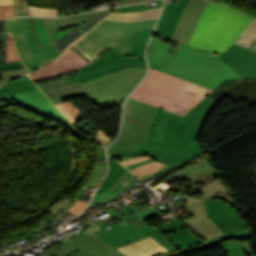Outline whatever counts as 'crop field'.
<instances>
[{"mask_svg": "<svg viewBox=\"0 0 256 256\" xmlns=\"http://www.w3.org/2000/svg\"><path fill=\"white\" fill-rule=\"evenodd\" d=\"M217 104L206 97L184 117L159 108L145 141L148 153L181 165L205 154L198 143L202 121Z\"/></svg>", "mask_w": 256, "mask_h": 256, "instance_id": "crop-field-1", "label": "crop field"}, {"mask_svg": "<svg viewBox=\"0 0 256 256\" xmlns=\"http://www.w3.org/2000/svg\"><path fill=\"white\" fill-rule=\"evenodd\" d=\"M172 46L152 38L148 48L150 68L215 90L226 80L241 78L223 63L219 55L178 44L173 55ZM169 63V65H168Z\"/></svg>", "mask_w": 256, "mask_h": 256, "instance_id": "crop-field-2", "label": "crop field"}, {"mask_svg": "<svg viewBox=\"0 0 256 256\" xmlns=\"http://www.w3.org/2000/svg\"><path fill=\"white\" fill-rule=\"evenodd\" d=\"M212 92L207 88L152 69L131 98L184 116Z\"/></svg>", "mask_w": 256, "mask_h": 256, "instance_id": "crop-field-3", "label": "crop field"}, {"mask_svg": "<svg viewBox=\"0 0 256 256\" xmlns=\"http://www.w3.org/2000/svg\"><path fill=\"white\" fill-rule=\"evenodd\" d=\"M251 20L229 7L208 2L189 45L221 54L235 43Z\"/></svg>", "mask_w": 256, "mask_h": 256, "instance_id": "crop-field-4", "label": "crop field"}, {"mask_svg": "<svg viewBox=\"0 0 256 256\" xmlns=\"http://www.w3.org/2000/svg\"><path fill=\"white\" fill-rule=\"evenodd\" d=\"M109 10L57 19L29 18L39 46L51 43L61 54L70 44L94 28Z\"/></svg>", "mask_w": 256, "mask_h": 256, "instance_id": "crop-field-5", "label": "crop field"}, {"mask_svg": "<svg viewBox=\"0 0 256 256\" xmlns=\"http://www.w3.org/2000/svg\"><path fill=\"white\" fill-rule=\"evenodd\" d=\"M146 68H124L108 75L83 82L85 90L67 95L57 96L52 89L43 92L53 104L63 99L88 95L93 104L110 100L124 99L143 77Z\"/></svg>", "mask_w": 256, "mask_h": 256, "instance_id": "crop-field-6", "label": "crop field"}, {"mask_svg": "<svg viewBox=\"0 0 256 256\" xmlns=\"http://www.w3.org/2000/svg\"><path fill=\"white\" fill-rule=\"evenodd\" d=\"M157 109L130 98L125 104L121 135L116 142L109 145L107 152L146 149L144 141Z\"/></svg>", "mask_w": 256, "mask_h": 256, "instance_id": "crop-field-7", "label": "crop field"}, {"mask_svg": "<svg viewBox=\"0 0 256 256\" xmlns=\"http://www.w3.org/2000/svg\"><path fill=\"white\" fill-rule=\"evenodd\" d=\"M134 30H122L97 25L78 42L74 43L95 61L98 54L111 48L122 54L130 55L133 45L125 43Z\"/></svg>", "mask_w": 256, "mask_h": 256, "instance_id": "crop-field-8", "label": "crop field"}, {"mask_svg": "<svg viewBox=\"0 0 256 256\" xmlns=\"http://www.w3.org/2000/svg\"><path fill=\"white\" fill-rule=\"evenodd\" d=\"M122 65V66H120ZM124 67H146V64L141 62L136 57L127 58L122 54H119L113 50L103 54L102 58L96 62L89 64L88 66L78 70V75L39 84L41 90L49 89L65 84H70L78 81H86L98 76L108 74L114 70Z\"/></svg>", "mask_w": 256, "mask_h": 256, "instance_id": "crop-field-9", "label": "crop field"}, {"mask_svg": "<svg viewBox=\"0 0 256 256\" xmlns=\"http://www.w3.org/2000/svg\"><path fill=\"white\" fill-rule=\"evenodd\" d=\"M204 200L206 201V211L210 218L226 235L245 229L246 224L239 219L235 209L220 200Z\"/></svg>", "mask_w": 256, "mask_h": 256, "instance_id": "crop-field-10", "label": "crop field"}, {"mask_svg": "<svg viewBox=\"0 0 256 256\" xmlns=\"http://www.w3.org/2000/svg\"><path fill=\"white\" fill-rule=\"evenodd\" d=\"M187 198V209L194 217L185 220L192 230L205 240L224 233L213 223L205 211V201L201 198Z\"/></svg>", "mask_w": 256, "mask_h": 256, "instance_id": "crop-field-11", "label": "crop field"}, {"mask_svg": "<svg viewBox=\"0 0 256 256\" xmlns=\"http://www.w3.org/2000/svg\"><path fill=\"white\" fill-rule=\"evenodd\" d=\"M242 78L256 77V53L234 44L219 57Z\"/></svg>", "mask_w": 256, "mask_h": 256, "instance_id": "crop-field-12", "label": "crop field"}, {"mask_svg": "<svg viewBox=\"0 0 256 256\" xmlns=\"http://www.w3.org/2000/svg\"><path fill=\"white\" fill-rule=\"evenodd\" d=\"M77 237V236H76ZM73 245L97 256H126L95 236L85 232L47 256H58Z\"/></svg>", "mask_w": 256, "mask_h": 256, "instance_id": "crop-field-13", "label": "crop field"}, {"mask_svg": "<svg viewBox=\"0 0 256 256\" xmlns=\"http://www.w3.org/2000/svg\"><path fill=\"white\" fill-rule=\"evenodd\" d=\"M206 3L201 0L189 1L171 38L172 40L188 44Z\"/></svg>", "mask_w": 256, "mask_h": 256, "instance_id": "crop-field-14", "label": "crop field"}, {"mask_svg": "<svg viewBox=\"0 0 256 256\" xmlns=\"http://www.w3.org/2000/svg\"><path fill=\"white\" fill-rule=\"evenodd\" d=\"M85 60H83L79 55H77L70 48L57 60L40 68L32 73H29L33 80L50 77L70 70L79 69L87 65ZM74 66V68H72Z\"/></svg>", "mask_w": 256, "mask_h": 256, "instance_id": "crop-field-15", "label": "crop field"}, {"mask_svg": "<svg viewBox=\"0 0 256 256\" xmlns=\"http://www.w3.org/2000/svg\"><path fill=\"white\" fill-rule=\"evenodd\" d=\"M24 33L32 57L25 59L22 62L27 66L29 72L60 56L51 44L39 48L32 31H25Z\"/></svg>", "mask_w": 256, "mask_h": 256, "instance_id": "crop-field-16", "label": "crop field"}, {"mask_svg": "<svg viewBox=\"0 0 256 256\" xmlns=\"http://www.w3.org/2000/svg\"><path fill=\"white\" fill-rule=\"evenodd\" d=\"M188 0H178L176 5H165L154 33L171 38Z\"/></svg>", "mask_w": 256, "mask_h": 256, "instance_id": "crop-field-17", "label": "crop field"}, {"mask_svg": "<svg viewBox=\"0 0 256 256\" xmlns=\"http://www.w3.org/2000/svg\"><path fill=\"white\" fill-rule=\"evenodd\" d=\"M117 249L128 256H160L170 253L151 236Z\"/></svg>", "mask_w": 256, "mask_h": 256, "instance_id": "crop-field-18", "label": "crop field"}, {"mask_svg": "<svg viewBox=\"0 0 256 256\" xmlns=\"http://www.w3.org/2000/svg\"><path fill=\"white\" fill-rule=\"evenodd\" d=\"M10 100H27L37 105H40L46 109H49L66 119L50 102L49 100L41 93L39 89L30 90L21 93L11 94L5 97L0 98V102L10 101ZM67 120V119H66Z\"/></svg>", "mask_w": 256, "mask_h": 256, "instance_id": "crop-field-19", "label": "crop field"}, {"mask_svg": "<svg viewBox=\"0 0 256 256\" xmlns=\"http://www.w3.org/2000/svg\"><path fill=\"white\" fill-rule=\"evenodd\" d=\"M133 176L134 175L126 169L124 173L121 175V177L109 189L103 191L102 193L94 197V200L90 206L106 201L108 199H111L119 195L126 188V187L120 186L122 184L121 182L125 180L131 183L134 179ZM129 184L127 186H129Z\"/></svg>", "mask_w": 256, "mask_h": 256, "instance_id": "crop-field-20", "label": "crop field"}, {"mask_svg": "<svg viewBox=\"0 0 256 256\" xmlns=\"http://www.w3.org/2000/svg\"><path fill=\"white\" fill-rule=\"evenodd\" d=\"M250 241L226 240L218 245L224 247L229 256H256Z\"/></svg>", "mask_w": 256, "mask_h": 256, "instance_id": "crop-field-21", "label": "crop field"}, {"mask_svg": "<svg viewBox=\"0 0 256 256\" xmlns=\"http://www.w3.org/2000/svg\"><path fill=\"white\" fill-rule=\"evenodd\" d=\"M37 88L34 83L30 80L29 76L19 78L17 80H13L3 87L0 88V97L15 93V92H20V91H26L30 89H35Z\"/></svg>", "mask_w": 256, "mask_h": 256, "instance_id": "crop-field-22", "label": "crop field"}, {"mask_svg": "<svg viewBox=\"0 0 256 256\" xmlns=\"http://www.w3.org/2000/svg\"><path fill=\"white\" fill-rule=\"evenodd\" d=\"M168 236L173 242L174 246L179 248L180 250L204 242L195 237L188 229L179 231Z\"/></svg>", "mask_w": 256, "mask_h": 256, "instance_id": "crop-field-23", "label": "crop field"}, {"mask_svg": "<svg viewBox=\"0 0 256 256\" xmlns=\"http://www.w3.org/2000/svg\"><path fill=\"white\" fill-rule=\"evenodd\" d=\"M160 9L135 12V13H111L107 18L121 21H138L157 18Z\"/></svg>", "mask_w": 256, "mask_h": 256, "instance_id": "crop-field-24", "label": "crop field"}, {"mask_svg": "<svg viewBox=\"0 0 256 256\" xmlns=\"http://www.w3.org/2000/svg\"><path fill=\"white\" fill-rule=\"evenodd\" d=\"M10 104H13V105H21V106H24L25 108L27 109H30V110H33L35 112H38L48 118H51L59 123H62V124H65L69 127H71L72 129L75 130V128L72 126L71 123L67 122L66 120L62 119L61 117L57 116L56 114L40 107V106H37L35 104H32L30 102H26V101H10V102H4L2 103V106H8ZM77 131V130H76Z\"/></svg>", "mask_w": 256, "mask_h": 256, "instance_id": "crop-field-25", "label": "crop field"}, {"mask_svg": "<svg viewBox=\"0 0 256 256\" xmlns=\"http://www.w3.org/2000/svg\"><path fill=\"white\" fill-rule=\"evenodd\" d=\"M156 19L138 22H120L104 19L100 25L122 29H146L153 27Z\"/></svg>", "mask_w": 256, "mask_h": 256, "instance_id": "crop-field-26", "label": "crop field"}, {"mask_svg": "<svg viewBox=\"0 0 256 256\" xmlns=\"http://www.w3.org/2000/svg\"><path fill=\"white\" fill-rule=\"evenodd\" d=\"M109 163H110V170H109L105 180L102 182L101 187L99 188L97 193L110 187L119 178V176L122 174V172L126 169L120 163H118L117 161H115L111 158H109Z\"/></svg>", "mask_w": 256, "mask_h": 256, "instance_id": "crop-field-27", "label": "crop field"}, {"mask_svg": "<svg viewBox=\"0 0 256 256\" xmlns=\"http://www.w3.org/2000/svg\"><path fill=\"white\" fill-rule=\"evenodd\" d=\"M256 42V20H252L236 44L249 48Z\"/></svg>", "mask_w": 256, "mask_h": 256, "instance_id": "crop-field-28", "label": "crop field"}, {"mask_svg": "<svg viewBox=\"0 0 256 256\" xmlns=\"http://www.w3.org/2000/svg\"><path fill=\"white\" fill-rule=\"evenodd\" d=\"M75 125L83 114L74 106L71 101L55 105Z\"/></svg>", "mask_w": 256, "mask_h": 256, "instance_id": "crop-field-29", "label": "crop field"}, {"mask_svg": "<svg viewBox=\"0 0 256 256\" xmlns=\"http://www.w3.org/2000/svg\"><path fill=\"white\" fill-rule=\"evenodd\" d=\"M4 24L6 32L31 30L28 18H16Z\"/></svg>", "mask_w": 256, "mask_h": 256, "instance_id": "crop-field-30", "label": "crop field"}, {"mask_svg": "<svg viewBox=\"0 0 256 256\" xmlns=\"http://www.w3.org/2000/svg\"><path fill=\"white\" fill-rule=\"evenodd\" d=\"M14 37L17 51L21 60L30 57V53L27 47L26 39L23 32H11Z\"/></svg>", "mask_w": 256, "mask_h": 256, "instance_id": "crop-field-31", "label": "crop field"}, {"mask_svg": "<svg viewBox=\"0 0 256 256\" xmlns=\"http://www.w3.org/2000/svg\"><path fill=\"white\" fill-rule=\"evenodd\" d=\"M105 171L106 163H94L93 173L85 184L91 187H96Z\"/></svg>", "mask_w": 256, "mask_h": 256, "instance_id": "crop-field-32", "label": "crop field"}, {"mask_svg": "<svg viewBox=\"0 0 256 256\" xmlns=\"http://www.w3.org/2000/svg\"><path fill=\"white\" fill-rule=\"evenodd\" d=\"M151 29H146V30H135L133 35L130 37V39L127 41L128 43L132 44H137V45H142L146 46L147 41L149 39Z\"/></svg>", "mask_w": 256, "mask_h": 256, "instance_id": "crop-field-33", "label": "crop field"}, {"mask_svg": "<svg viewBox=\"0 0 256 256\" xmlns=\"http://www.w3.org/2000/svg\"><path fill=\"white\" fill-rule=\"evenodd\" d=\"M140 153H147L146 150H142V151H130V152H115V153H108L109 156L113 157V158H117V157H122V156H128V155H134V154H140ZM149 155V154H148ZM151 156L153 159L151 160H147V161H144V162H141V163H137V164H134V165H131V166H127V168L131 169V168H134L136 166H139V165H142V164H145V163H148L150 161H153V160H156V161H159L161 163H168L169 161H166V160H163V159H160V158H157L153 155H149Z\"/></svg>", "mask_w": 256, "mask_h": 256, "instance_id": "crop-field-34", "label": "crop field"}, {"mask_svg": "<svg viewBox=\"0 0 256 256\" xmlns=\"http://www.w3.org/2000/svg\"><path fill=\"white\" fill-rule=\"evenodd\" d=\"M20 60L14 46L13 39L10 34L6 33V63Z\"/></svg>", "mask_w": 256, "mask_h": 256, "instance_id": "crop-field-35", "label": "crop field"}, {"mask_svg": "<svg viewBox=\"0 0 256 256\" xmlns=\"http://www.w3.org/2000/svg\"><path fill=\"white\" fill-rule=\"evenodd\" d=\"M164 164H161L159 162H156V161H153V162H150L148 164H145V165H142V166H139V167H136L134 169H131V171L136 175L138 176L139 178L148 174L149 172L157 169L158 167L162 166Z\"/></svg>", "mask_w": 256, "mask_h": 256, "instance_id": "crop-field-36", "label": "crop field"}, {"mask_svg": "<svg viewBox=\"0 0 256 256\" xmlns=\"http://www.w3.org/2000/svg\"><path fill=\"white\" fill-rule=\"evenodd\" d=\"M226 239L248 240V239H251V232L249 231V229H245L238 233L227 235V236L212 240L210 242L217 245L219 242L224 241Z\"/></svg>", "mask_w": 256, "mask_h": 256, "instance_id": "crop-field-37", "label": "crop field"}, {"mask_svg": "<svg viewBox=\"0 0 256 256\" xmlns=\"http://www.w3.org/2000/svg\"><path fill=\"white\" fill-rule=\"evenodd\" d=\"M159 226V228L162 229L161 232H163L166 235L185 229V227L180 223L178 219L166 222Z\"/></svg>", "mask_w": 256, "mask_h": 256, "instance_id": "crop-field-38", "label": "crop field"}, {"mask_svg": "<svg viewBox=\"0 0 256 256\" xmlns=\"http://www.w3.org/2000/svg\"><path fill=\"white\" fill-rule=\"evenodd\" d=\"M26 74H27L26 68L0 72V77H2V80H0V85L10 81L13 78L20 77Z\"/></svg>", "mask_w": 256, "mask_h": 256, "instance_id": "crop-field-39", "label": "crop field"}, {"mask_svg": "<svg viewBox=\"0 0 256 256\" xmlns=\"http://www.w3.org/2000/svg\"><path fill=\"white\" fill-rule=\"evenodd\" d=\"M83 89L84 88H83L81 82H78V83H74V84L54 88L53 90L55 91V93L57 95H61V94H67V93L75 92V91H80V90H83Z\"/></svg>", "mask_w": 256, "mask_h": 256, "instance_id": "crop-field-40", "label": "crop field"}, {"mask_svg": "<svg viewBox=\"0 0 256 256\" xmlns=\"http://www.w3.org/2000/svg\"><path fill=\"white\" fill-rule=\"evenodd\" d=\"M28 15L57 16V10L29 6Z\"/></svg>", "mask_w": 256, "mask_h": 256, "instance_id": "crop-field-41", "label": "crop field"}, {"mask_svg": "<svg viewBox=\"0 0 256 256\" xmlns=\"http://www.w3.org/2000/svg\"><path fill=\"white\" fill-rule=\"evenodd\" d=\"M180 166H181V165H178V164H176V163L170 162V163L166 164L165 166H163V167H161V168H159V169H157V170H155V171L149 173L148 175H146V176H144V177H142V178H140V179H142V180L144 181V180L150 178V177L153 176V175H154V176L157 175V174L160 173V172L165 175V174H167V173L173 171L174 169H176V168H178V167H180Z\"/></svg>", "mask_w": 256, "mask_h": 256, "instance_id": "crop-field-42", "label": "crop field"}, {"mask_svg": "<svg viewBox=\"0 0 256 256\" xmlns=\"http://www.w3.org/2000/svg\"><path fill=\"white\" fill-rule=\"evenodd\" d=\"M151 236L154 237L157 241H159L163 246H165L171 252L179 250L173 246L168 236L164 235L163 233L158 232V233L151 234Z\"/></svg>", "mask_w": 256, "mask_h": 256, "instance_id": "crop-field-43", "label": "crop field"}, {"mask_svg": "<svg viewBox=\"0 0 256 256\" xmlns=\"http://www.w3.org/2000/svg\"><path fill=\"white\" fill-rule=\"evenodd\" d=\"M27 0H15V16L27 15Z\"/></svg>", "mask_w": 256, "mask_h": 256, "instance_id": "crop-field-44", "label": "crop field"}, {"mask_svg": "<svg viewBox=\"0 0 256 256\" xmlns=\"http://www.w3.org/2000/svg\"><path fill=\"white\" fill-rule=\"evenodd\" d=\"M163 4L144 9L142 4L114 9L112 12H134L162 7Z\"/></svg>", "mask_w": 256, "mask_h": 256, "instance_id": "crop-field-45", "label": "crop field"}, {"mask_svg": "<svg viewBox=\"0 0 256 256\" xmlns=\"http://www.w3.org/2000/svg\"><path fill=\"white\" fill-rule=\"evenodd\" d=\"M209 246H212V245L206 242L204 244H199V245L193 246L191 248L184 249V250L178 251V252H173V253L163 255V256H178V255H182V254H185V253H188V252L200 250V249H203V248H206V247H209Z\"/></svg>", "mask_w": 256, "mask_h": 256, "instance_id": "crop-field-46", "label": "crop field"}, {"mask_svg": "<svg viewBox=\"0 0 256 256\" xmlns=\"http://www.w3.org/2000/svg\"><path fill=\"white\" fill-rule=\"evenodd\" d=\"M59 256H95L94 254L87 253L75 246L69 249L67 252L59 255Z\"/></svg>", "mask_w": 256, "mask_h": 256, "instance_id": "crop-field-47", "label": "crop field"}, {"mask_svg": "<svg viewBox=\"0 0 256 256\" xmlns=\"http://www.w3.org/2000/svg\"><path fill=\"white\" fill-rule=\"evenodd\" d=\"M69 203H71V200L65 197L58 203L54 204L53 207L51 209H49L48 211L56 215L59 211H61Z\"/></svg>", "mask_w": 256, "mask_h": 256, "instance_id": "crop-field-48", "label": "crop field"}, {"mask_svg": "<svg viewBox=\"0 0 256 256\" xmlns=\"http://www.w3.org/2000/svg\"><path fill=\"white\" fill-rule=\"evenodd\" d=\"M13 15V5H0V20Z\"/></svg>", "mask_w": 256, "mask_h": 256, "instance_id": "crop-field-49", "label": "crop field"}, {"mask_svg": "<svg viewBox=\"0 0 256 256\" xmlns=\"http://www.w3.org/2000/svg\"><path fill=\"white\" fill-rule=\"evenodd\" d=\"M96 133L98 134L97 137L95 138L96 142L98 144H100L103 148H105V146L112 141L113 139L108 138L105 133L101 130L96 131Z\"/></svg>", "mask_w": 256, "mask_h": 256, "instance_id": "crop-field-50", "label": "crop field"}, {"mask_svg": "<svg viewBox=\"0 0 256 256\" xmlns=\"http://www.w3.org/2000/svg\"><path fill=\"white\" fill-rule=\"evenodd\" d=\"M86 205H87V202L78 200L74 206H72L70 209H68V211L73 212L78 215L85 209Z\"/></svg>", "mask_w": 256, "mask_h": 256, "instance_id": "crop-field-51", "label": "crop field"}, {"mask_svg": "<svg viewBox=\"0 0 256 256\" xmlns=\"http://www.w3.org/2000/svg\"><path fill=\"white\" fill-rule=\"evenodd\" d=\"M24 67L21 63V61L18 62H12V63H7V64H1L0 65V71H6L9 69H16V68H22Z\"/></svg>", "mask_w": 256, "mask_h": 256, "instance_id": "crop-field-52", "label": "crop field"}, {"mask_svg": "<svg viewBox=\"0 0 256 256\" xmlns=\"http://www.w3.org/2000/svg\"><path fill=\"white\" fill-rule=\"evenodd\" d=\"M77 74V71H71L62 75H58V76H54V77H50V78H45V79H40V80H36L35 83L39 84V83H43V82H47V81H51V80H55V79H59V78H63V77H67V76H71V75H75Z\"/></svg>", "mask_w": 256, "mask_h": 256, "instance_id": "crop-field-53", "label": "crop field"}, {"mask_svg": "<svg viewBox=\"0 0 256 256\" xmlns=\"http://www.w3.org/2000/svg\"><path fill=\"white\" fill-rule=\"evenodd\" d=\"M144 49L145 47L134 45L132 54H134L137 58L145 62Z\"/></svg>", "mask_w": 256, "mask_h": 256, "instance_id": "crop-field-54", "label": "crop field"}, {"mask_svg": "<svg viewBox=\"0 0 256 256\" xmlns=\"http://www.w3.org/2000/svg\"><path fill=\"white\" fill-rule=\"evenodd\" d=\"M147 159H151L149 156H141V157H137V158H133V159H129V160H124V161H120L123 165L127 166V165H131L137 162H141Z\"/></svg>", "mask_w": 256, "mask_h": 256, "instance_id": "crop-field-55", "label": "crop field"}, {"mask_svg": "<svg viewBox=\"0 0 256 256\" xmlns=\"http://www.w3.org/2000/svg\"><path fill=\"white\" fill-rule=\"evenodd\" d=\"M70 48H72L76 53H78L82 58H84L89 63L93 62L94 60L91 59L85 52H83L79 47L76 45H72Z\"/></svg>", "mask_w": 256, "mask_h": 256, "instance_id": "crop-field-56", "label": "crop field"}, {"mask_svg": "<svg viewBox=\"0 0 256 256\" xmlns=\"http://www.w3.org/2000/svg\"><path fill=\"white\" fill-rule=\"evenodd\" d=\"M119 2H120V1L107 3V4H104V5L95 7V8L87 9V10L93 11V10H98V9H102V8L114 7V6L117 5Z\"/></svg>", "mask_w": 256, "mask_h": 256, "instance_id": "crop-field-57", "label": "crop field"}, {"mask_svg": "<svg viewBox=\"0 0 256 256\" xmlns=\"http://www.w3.org/2000/svg\"><path fill=\"white\" fill-rule=\"evenodd\" d=\"M25 237L30 238V237H34V236L31 235V233H30V234H28V235H26V236H22V237H18V238L9 239V240L5 241V243H6V244H10V243H13V242H17V240L22 239V238H25Z\"/></svg>", "mask_w": 256, "mask_h": 256, "instance_id": "crop-field-58", "label": "crop field"}, {"mask_svg": "<svg viewBox=\"0 0 256 256\" xmlns=\"http://www.w3.org/2000/svg\"><path fill=\"white\" fill-rule=\"evenodd\" d=\"M141 1H147V0H124L119 5L136 3V2H141Z\"/></svg>", "mask_w": 256, "mask_h": 256, "instance_id": "crop-field-59", "label": "crop field"}, {"mask_svg": "<svg viewBox=\"0 0 256 256\" xmlns=\"http://www.w3.org/2000/svg\"><path fill=\"white\" fill-rule=\"evenodd\" d=\"M0 4H13V0H0Z\"/></svg>", "mask_w": 256, "mask_h": 256, "instance_id": "crop-field-60", "label": "crop field"}, {"mask_svg": "<svg viewBox=\"0 0 256 256\" xmlns=\"http://www.w3.org/2000/svg\"><path fill=\"white\" fill-rule=\"evenodd\" d=\"M249 49H251V50H253V51H255V52H256V44H255V45H253L252 47H250Z\"/></svg>", "mask_w": 256, "mask_h": 256, "instance_id": "crop-field-61", "label": "crop field"}, {"mask_svg": "<svg viewBox=\"0 0 256 256\" xmlns=\"http://www.w3.org/2000/svg\"><path fill=\"white\" fill-rule=\"evenodd\" d=\"M0 108H2L1 103H0Z\"/></svg>", "mask_w": 256, "mask_h": 256, "instance_id": "crop-field-62", "label": "crop field"}]
</instances>
